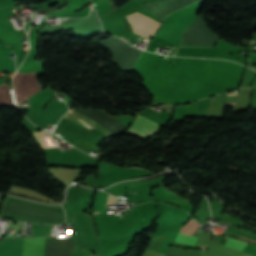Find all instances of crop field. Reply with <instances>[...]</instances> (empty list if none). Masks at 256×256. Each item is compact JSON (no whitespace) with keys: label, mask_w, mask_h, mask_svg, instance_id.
I'll use <instances>...</instances> for the list:
<instances>
[{"label":"crop field","mask_w":256,"mask_h":256,"mask_svg":"<svg viewBox=\"0 0 256 256\" xmlns=\"http://www.w3.org/2000/svg\"><path fill=\"white\" fill-rule=\"evenodd\" d=\"M226 234H229V235H235V234H231V233H226ZM235 236H238V235H235ZM241 238L245 239V240H248V241H253V242H256L255 240H251V239H248V238H245V237H242Z\"/></svg>","instance_id":"obj_10"},{"label":"crop field","mask_w":256,"mask_h":256,"mask_svg":"<svg viewBox=\"0 0 256 256\" xmlns=\"http://www.w3.org/2000/svg\"><path fill=\"white\" fill-rule=\"evenodd\" d=\"M246 244L247 242L240 241L234 238H229V241L225 246L242 250Z\"/></svg>","instance_id":"obj_9"},{"label":"crop field","mask_w":256,"mask_h":256,"mask_svg":"<svg viewBox=\"0 0 256 256\" xmlns=\"http://www.w3.org/2000/svg\"><path fill=\"white\" fill-rule=\"evenodd\" d=\"M196 240H197V237L179 233L174 241L175 242H180V243L194 245Z\"/></svg>","instance_id":"obj_8"},{"label":"crop field","mask_w":256,"mask_h":256,"mask_svg":"<svg viewBox=\"0 0 256 256\" xmlns=\"http://www.w3.org/2000/svg\"><path fill=\"white\" fill-rule=\"evenodd\" d=\"M33 135L38 140L43 149L56 146L52 136L44 131L34 132Z\"/></svg>","instance_id":"obj_6"},{"label":"crop field","mask_w":256,"mask_h":256,"mask_svg":"<svg viewBox=\"0 0 256 256\" xmlns=\"http://www.w3.org/2000/svg\"><path fill=\"white\" fill-rule=\"evenodd\" d=\"M14 85L18 104L26 100L31 95L41 91L37 85L34 73H17L14 80Z\"/></svg>","instance_id":"obj_1"},{"label":"crop field","mask_w":256,"mask_h":256,"mask_svg":"<svg viewBox=\"0 0 256 256\" xmlns=\"http://www.w3.org/2000/svg\"><path fill=\"white\" fill-rule=\"evenodd\" d=\"M95 213H98V212H95Z\"/></svg>","instance_id":"obj_12"},{"label":"crop field","mask_w":256,"mask_h":256,"mask_svg":"<svg viewBox=\"0 0 256 256\" xmlns=\"http://www.w3.org/2000/svg\"><path fill=\"white\" fill-rule=\"evenodd\" d=\"M157 128L156 124L136 115V120L132 123L127 132L147 136L153 133Z\"/></svg>","instance_id":"obj_4"},{"label":"crop field","mask_w":256,"mask_h":256,"mask_svg":"<svg viewBox=\"0 0 256 256\" xmlns=\"http://www.w3.org/2000/svg\"><path fill=\"white\" fill-rule=\"evenodd\" d=\"M66 116L70 117L71 119L77 121L78 123L82 124L83 126H85L87 128L98 129V130L102 131L104 133V135L107 137L115 135V133L112 130H110L92 120H89L74 111H68Z\"/></svg>","instance_id":"obj_5"},{"label":"crop field","mask_w":256,"mask_h":256,"mask_svg":"<svg viewBox=\"0 0 256 256\" xmlns=\"http://www.w3.org/2000/svg\"><path fill=\"white\" fill-rule=\"evenodd\" d=\"M120 37V36H119ZM122 38V37H121ZM124 39V38H123ZM124 40H126L127 42L129 41V40H127V39H124Z\"/></svg>","instance_id":"obj_11"},{"label":"crop field","mask_w":256,"mask_h":256,"mask_svg":"<svg viewBox=\"0 0 256 256\" xmlns=\"http://www.w3.org/2000/svg\"><path fill=\"white\" fill-rule=\"evenodd\" d=\"M45 237L22 238L20 256H43Z\"/></svg>","instance_id":"obj_3"},{"label":"crop field","mask_w":256,"mask_h":256,"mask_svg":"<svg viewBox=\"0 0 256 256\" xmlns=\"http://www.w3.org/2000/svg\"><path fill=\"white\" fill-rule=\"evenodd\" d=\"M127 17L131 21L135 32L142 36L152 37L156 29L160 26V23L157 21L138 12Z\"/></svg>","instance_id":"obj_2"},{"label":"crop field","mask_w":256,"mask_h":256,"mask_svg":"<svg viewBox=\"0 0 256 256\" xmlns=\"http://www.w3.org/2000/svg\"><path fill=\"white\" fill-rule=\"evenodd\" d=\"M0 103L9 106H14L10 88L4 84L0 85Z\"/></svg>","instance_id":"obj_7"}]
</instances>
